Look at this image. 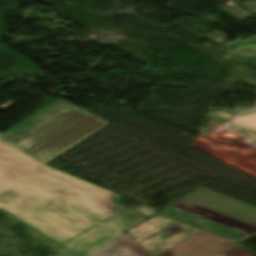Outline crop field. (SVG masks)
<instances>
[{
	"mask_svg": "<svg viewBox=\"0 0 256 256\" xmlns=\"http://www.w3.org/2000/svg\"><path fill=\"white\" fill-rule=\"evenodd\" d=\"M108 124L59 99L0 135V209L60 244L122 209L119 195L46 165Z\"/></svg>",
	"mask_w": 256,
	"mask_h": 256,
	"instance_id": "obj_1",
	"label": "crop field"
},
{
	"mask_svg": "<svg viewBox=\"0 0 256 256\" xmlns=\"http://www.w3.org/2000/svg\"><path fill=\"white\" fill-rule=\"evenodd\" d=\"M144 219L146 218L137 212L125 208L62 245L85 256Z\"/></svg>",
	"mask_w": 256,
	"mask_h": 256,
	"instance_id": "obj_2",
	"label": "crop field"
},
{
	"mask_svg": "<svg viewBox=\"0 0 256 256\" xmlns=\"http://www.w3.org/2000/svg\"><path fill=\"white\" fill-rule=\"evenodd\" d=\"M175 223L181 225L179 227L185 230L176 235H172V233L164 238H161L159 236L168 231L164 233L160 232L156 235H153ZM201 230L203 229L196 228L190 224L160 213L144 221L143 223L139 224L138 226L126 233L153 256L163 251L164 249L196 234Z\"/></svg>",
	"mask_w": 256,
	"mask_h": 256,
	"instance_id": "obj_3",
	"label": "crop field"
},
{
	"mask_svg": "<svg viewBox=\"0 0 256 256\" xmlns=\"http://www.w3.org/2000/svg\"><path fill=\"white\" fill-rule=\"evenodd\" d=\"M236 243L204 230L155 256H211Z\"/></svg>",
	"mask_w": 256,
	"mask_h": 256,
	"instance_id": "obj_4",
	"label": "crop field"
},
{
	"mask_svg": "<svg viewBox=\"0 0 256 256\" xmlns=\"http://www.w3.org/2000/svg\"><path fill=\"white\" fill-rule=\"evenodd\" d=\"M199 189H200V188H199ZM194 193L199 194V195L204 196V197H207V198H209V199L215 200V201H217V202L226 204V205H228V206L234 207V208H236V209L242 210V211H244V212L253 214V215L256 216V209H253V208H250V207H248V206L242 205V204H240V203L231 201V200H229V199L223 198V197H221V196L215 195V194L210 193V192H207V191H205V190L200 189V190H198V191H196V192H194ZM194 193H192V194H190V195L184 197L183 200L189 201V202H191V203L200 205V206H202V207L211 209V210H213V211L222 213V214H224V215L233 217V218H235V219H238V220H241V221H244V222H246V223H249V224H252V225H255V226H256V223H254V222L248 221V220H246V219L240 218V217H238V216L232 215V214H230V213L224 212V211H222V210H219V209H216V208H214V207L208 206V205H206V204L200 203V202H198V201L192 200V199H190V198H188V197L191 196V197H193V198L199 199V200H201V201L207 202V203H209V204L215 205V206H217V207L223 208V209H225V210L231 211V212H233V213L239 214V215H241V216L247 217V218L252 219V220H255V221H256V217L251 216V215H248V214H245V213H242V212H240V211H237V210H234V209H231V208H228V207H226V206H223V205L214 203V202H212V201H209V200L200 198V197H198V196L193 195Z\"/></svg>",
	"mask_w": 256,
	"mask_h": 256,
	"instance_id": "obj_5",
	"label": "crop field"
},
{
	"mask_svg": "<svg viewBox=\"0 0 256 256\" xmlns=\"http://www.w3.org/2000/svg\"><path fill=\"white\" fill-rule=\"evenodd\" d=\"M87 256H150L124 233Z\"/></svg>",
	"mask_w": 256,
	"mask_h": 256,
	"instance_id": "obj_6",
	"label": "crop field"
},
{
	"mask_svg": "<svg viewBox=\"0 0 256 256\" xmlns=\"http://www.w3.org/2000/svg\"><path fill=\"white\" fill-rule=\"evenodd\" d=\"M162 213H165V214H168V215H171V216H174V217H177V218L189 221V222H191L193 224H196L198 226H202V227H204L206 229H209L211 231L217 232V233L222 234L224 236H227L229 238L235 239V240H237L239 242H241V241L251 237L249 235H246V234L238 232L236 230L227 228L225 226L219 225V224L214 223V222L210 223L208 221H199L200 219L197 220V219L191 217L190 213L182 211V210L177 209V208H174L172 206L168 207ZM236 233H240V234L238 235Z\"/></svg>",
	"mask_w": 256,
	"mask_h": 256,
	"instance_id": "obj_7",
	"label": "crop field"
},
{
	"mask_svg": "<svg viewBox=\"0 0 256 256\" xmlns=\"http://www.w3.org/2000/svg\"><path fill=\"white\" fill-rule=\"evenodd\" d=\"M232 123L253 131H256V114L235 118Z\"/></svg>",
	"mask_w": 256,
	"mask_h": 256,
	"instance_id": "obj_8",
	"label": "crop field"
},
{
	"mask_svg": "<svg viewBox=\"0 0 256 256\" xmlns=\"http://www.w3.org/2000/svg\"><path fill=\"white\" fill-rule=\"evenodd\" d=\"M217 256H254L240 244Z\"/></svg>",
	"mask_w": 256,
	"mask_h": 256,
	"instance_id": "obj_9",
	"label": "crop field"
},
{
	"mask_svg": "<svg viewBox=\"0 0 256 256\" xmlns=\"http://www.w3.org/2000/svg\"><path fill=\"white\" fill-rule=\"evenodd\" d=\"M135 211H137L138 213L142 214L145 217H150L159 212L158 210H156L148 205L141 206V207L135 209Z\"/></svg>",
	"mask_w": 256,
	"mask_h": 256,
	"instance_id": "obj_10",
	"label": "crop field"
},
{
	"mask_svg": "<svg viewBox=\"0 0 256 256\" xmlns=\"http://www.w3.org/2000/svg\"><path fill=\"white\" fill-rule=\"evenodd\" d=\"M214 114L223 120H230L235 116V114H231V113L224 112V111H216Z\"/></svg>",
	"mask_w": 256,
	"mask_h": 256,
	"instance_id": "obj_11",
	"label": "crop field"
}]
</instances>
